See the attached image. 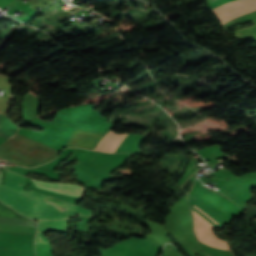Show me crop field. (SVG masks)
<instances>
[{"instance_id": "f4fd0767", "label": "crop field", "mask_w": 256, "mask_h": 256, "mask_svg": "<svg viewBox=\"0 0 256 256\" xmlns=\"http://www.w3.org/2000/svg\"><path fill=\"white\" fill-rule=\"evenodd\" d=\"M68 220L69 219L58 221L38 220L35 244L50 243L48 238L43 234L49 230H67L66 227Z\"/></svg>"}, {"instance_id": "ac0d7876", "label": "crop field", "mask_w": 256, "mask_h": 256, "mask_svg": "<svg viewBox=\"0 0 256 256\" xmlns=\"http://www.w3.org/2000/svg\"><path fill=\"white\" fill-rule=\"evenodd\" d=\"M57 151L16 134L0 146V158L23 167H36L48 162Z\"/></svg>"}, {"instance_id": "412701ff", "label": "crop field", "mask_w": 256, "mask_h": 256, "mask_svg": "<svg viewBox=\"0 0 256 256\" xmlns=\"http://www.w3.org/2000/svg\"><path fill=\"white\" fill-rule=\"evenodd\" d=\"M32 181L35 184L36 188H39V189L66 194L70 196H75L79 198H81L82 196L83 188L76 187L77 185L70 186V185H65L60 183H49V182L35 181V180H32ZM71 185H74V184H71Z\"/></svg>"}, {"instance_id": "e52e79f7", "label": "crop field", "mask_w": 256, "mask_h": 256, "mask_svg": "<svg viewBox=\"0 0 256 256\" xmlns=\"http://www.w3.org/2000/svg\"><path fill=\"white\" fill-rule=\"evenodd\" d=\"M37 256H52V247L50 244L35 245Z\"/></svg>"}, {"instance_id": "8a807250", "label": "crop field", "mask_w": 256, "mask_h": 256, "mask_svg": "<svg viewBox=\"0 0 256 256\" xmlns=\"http://www.w3.org/2000/svg\"><path fill=\"white\" fill-rule=\"evenodd\" d=\"M26 180L23 176L7 171L4 185L0 184V201L19 214L32 219H63L74 215L91 217L93 212L31 190L23 191ZM46 199L44 200V198ZM68 209L71 212L47 203Z\"/></svg>"}, {"instance_id": "34b2d1b8", "label": "crop field", "mask_w": 256, "mask_h": 256, "mask_svg": "<svg viewBox=\"0 0 256 256\" xmlns=\"http://www.w3.org/2000/svg\"><path fill=\"white\" fill-rule=\"evenodd\" d=\"M103 134L75 129L66 147H80L95 149Z\"/></svg>"}, {"instance_id": "dd49c442", "label": "crop field", "mask_w": 256, "mask_h": 256, "mask_svg": "<svg viewBox=\"0 0 256 256\" xmlns=\"http://www.w3.org/2000/svg\"><path fill=\"white\" fill-rule=\"evenodd\" d=\"M124 136H125V134H115L110 130L109 133L104 137V139L98 144L96 150L103 151V152H113V150L116 148V146L119 144V142L122 140V138ZM126 136H127V134H126ZM124 138H123V140H124ZM121 142H120V144H121ZM118 146H117V148H118ZM115 150H114V152H115Z\"/></svg>"}, {"instance_id": "d8731c3e", "label": "crop field", "mask_w": 256, "mask_h": 256, "mask_svg": "<svg viewBox=\"0 0 256 256\" xmlns=\"http://www.w3.org/2000/svg\"><path fill=\"white\" fill-rule=\"evenodd\" d=\"M193 208L196 209L199 213H201L203 216H205L208 220H210L213 224H215L217 226L218 223H216L213 219H211L209 216H207L205 213H203L201 210H199L197 207H195L193 205ZM192 208L193 211H195L198 215H200L202 218H204L201 214H199L196 210H194ZM206 218H204L207 222H209L212 226H214L215 228H217L215 225H213L210 221H208Z\"/></svg>"}]
</instances>
